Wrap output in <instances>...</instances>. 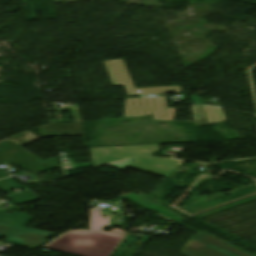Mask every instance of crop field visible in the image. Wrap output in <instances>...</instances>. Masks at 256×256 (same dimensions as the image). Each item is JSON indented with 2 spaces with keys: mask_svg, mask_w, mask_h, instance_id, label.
<instances>
[{
  "mask_svg": "<svg viewBox=\"0 0 256 256\" xmlns=\"http://www.w3.org/2000/svg\"><path fill=\"white\" fill-rule=\"evenodd\" d=\"M109 216L103 219L100 211H90L89 231H69L45 249L71 254L75 256H109L120 240L123 231L112 228L109 232L103 231L108 227Z\"/></svg>",
  "mask_w": 256,
  "mask_h": 256,
  "instance_id": "1",
  "label": "crop field"
},
{
  "mask_svg": "<svg viewBox=\"0 0 256 256\" xmlns=\"http://www.w3.org/2000/svg\"><path fill=\"white\" fill-rule=\"evenodd\" d=\"M31 220L32 218L24 213L15 212L14 214L10 215L0 211V229L19 233V234H15V233L0 230V237L7 238L3 242L21 245V246H25L33 249H36L46 244L48 241L20 235V234H24V235L46 239L51 234H53L49 232L32 229V228L30 229L23 228Z\"/></svg>",
  "mask_w": 256,
  "mask_h": 256,
  "instance_id": "2",
  "label": "crop field"
},
{
  "mask_svg": "<svg viewBox=\"0 0 256 256\" xmlns=\"http://www.w3.org/2000/svg\"><path fill=\"white\" fill-rule=\"evenodd\" d=\"M22 145L24 144L13 137L0 141V164L10 162L34 174L58 167L55 158L43 161L20 147ZM2 177L6 175L0 171V178Z\"/></svg>",
  "mask_w": 256,
  "mask_h": 256,
  "instance_id": "3",
  "label": "crop field"
},
{
  "mask_svg": "<svg viewBox=\"0 0 256 256\" xmlns=\"http://www.w3.org/2000/svg\"><path fill=\"white\" fill-rule=\"evenodd\" d=\"M180 253L185 256H249L203 232L191 237Z\"/></svg>",
  "mask_w": 256,
  "mask_h": 256,
  "instance_id": "4",
  "label": "crop field"
},
{
  "mask_svg": "<svg viewBox=\"0 0 256 256\" xmlns=\"http://www.w3.org/2000/svg\"><path fill=\"white\" fill-rule=\"evenodd\" d=\"M164 97L126 99L124 117L153 114V120L173 121L175 108Z\"/></svg>",
  "mask_w": 256,
  "mask_h": 256,
  "instance_id": "5",
  "label": "crop field"
},
{
  "mask_svg": "<svg viewBox=\"0 0 256 256\" xmlns=\"http://www.w3.org/2000/svg\"><path fill=\"white\" fill-rule=\"evenodd\" d=\"M113 86L124 85L128 95L181 92L179 86L135 89L121 59L103 62Z\"/></svg>",
  "mask_w": 256,
  "mask_h": 256,
  "instance_id": "6",
  "label": "crop field"
},
{
  "mask_svg": "<svg viewBox=\"0 0 256 256\" xmlns=\"http://www.w3.org/2000/svg\"><path fill=\"white\" fill-rule=\"evenodd\" d=\"M90 149L95 167L134 155L152 156L155 152H159L158 144Z\"/></svg>",
  "mask_w": 256,
  "mask_h": 256,
  "instance_id": "7",
  "label": "crop field"
},
{
  "mask_svg": "<svg viewBox=\"0 0 256 256\" xmlns=\"http://www.w3.org/2000/svg\"><path fill=\"white\" fill-rule=\"evenodd\" d=\"M131 158L109 164L123 169L124 167H132L138 170L156 174L168 178L182 163L183 161L150 158V157H135V160L127 165Z\"/></svg>",
  "mask_w": 256,
  "mask_h": 256,
  "instance_id": "8",
  "label": "crop field"
},
{
  "mask_svg": "<svg viewBox=\"0 0 256 256\" xmlns=\"http://www.w3.org/2000/svg\"><path fill=\"white\" fill-rule=\"evenodd\" d=\"M81 123L73 124H55L40 127L43 137L47 136H68V135H84Z\"/></svg>",
  "mask_w": 256,
  "mask_h": 256,
  "instance_id": "9",
  "label": "crop field"
},
{
  "mask_svg": "<svg viewBox=\"0 0 256 256\" xmlns=\"http://www.w3.org/2000/svg\"><path fill=\"white\" fill-rule=\"evenodd\" d=\"M9 199L11 200L12 203L16 205H20V204L32 202L35 200H39L40 197H38L32 191L28 190L19 194L9 196Z\"/></svg>",
  "mask_w": 256,
  "mask_h": 256,
  "instance_id": "10",
  "label": "crop field"
},
{
  "mask_svg": "<svg viewBox=\"0 0 256 256\" xmlns=\"http://www.w3.org/2000/svg\"><path fill=\"white\" fill-rule=\"evenodd\" d=\"M209 124L226 120L220 108L202 106Z\"/></svg>",
  "mask_w": 256,
  "mask_h": 256,
  "instance_id": "11",
  "label": "crop field"
},
{
  "mask_svg": "<svg viewBox=\"0 0 256 256\" xmlns=\"http://www.w3.org/2000/svg\"><path fill=\"white\" fill-rule=\"evenodd\" d=\"M192 108H193L197 126L208 124L202 107L201 106H192Z\"/></svg>",
  "mask_w": 256,
  "mask_h": 256,
  "instance_id": "12",
  "label": "crop field"
},
{
  "mask_svg": "<svg viewBox=\"0 0 256 256\" xmlns=\"http://www.w3.org/2000/svg\"><path fill=\"white\" fill-rule=\"evenodd\" d=\"M20 186L21 185H19L17 182H15L11 178L0 181V189L3 191L10 190V189L20 187Z\"/></svg>",
  "mask_w": 256,
  "mask_h": 256,
  "instance_id": "13",
  "label": "crop field"
},
{
  "mask_svg": "<svg viewBox=\"0 0 256 256\" xmlns=\"http://www.w3.org/2000/svg\"><path fill=\"white\" fill-rule=\"evenodd\" d=\"M25 136L22 137L30 142L41 139V138H37V136H35L34 134L27 132V133H23Z\"/></svg>",
  "mask_w": 256,
  "mask_h": 256,
  "instance_id": "14",
  "label": "crop field"
},
{
  "mask_svg": "<svg viewBox=\"0 0 256 256\" xmlns=\"http://www.w3.org/2000/svg\"><path fill=\"white\" fill-rule=\"evenodd\" d=\"M15 138H17L18 140H20L21 142H23V143H28L26 140H24V139H22L20 136H18V135H16V136H14Z\"/></svg>",
  "mask_w": 256,
  "mask_h": 256,
  "instance_id": "15",
  "label": "crop field"
}]
</instances>
